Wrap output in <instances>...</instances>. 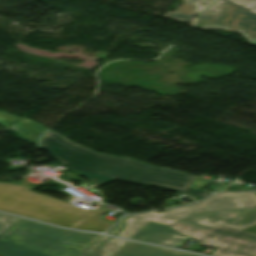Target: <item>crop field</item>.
Masks as SVG:
<instances>
[{"mask_svg":"<svg viewBox=\"0 0 256 256\" xmlns=\"http://www.w3.org/2000/svg\"><path fill=\"white\" fill-rule=\"evenodd\" d=\"M41 147L48 150L57 161H61L62 165L93 181L95 187L118 179L201 197L210 193L188 188L197 176L158 168L132 159L98 154L69 141L52 130L42 136Z\"/></svg>","mask_w":256,"mask_h":256,"instance_id":"crop-field-1","label":"crop field"},{"mask_svg":"<svg viewBox=\"0 0 256 256\" xmlns=\"http://www.w3.org/2000/svg\"><path fill=\"white\" fill-rule=\"evenodd\" d=\"M255 206V192L220 193L201 203L183 208L169 209L160 214L148 212L130 215L127 218L126 227L117 235L131 238L149 220H152L167 224L178 232L192 238ZM124 220L126 219H123L107 233L115 235L123 227Z\"/></svg>","mask_w":256,"mask_h":256,"instance_id":"crop-field-2","label":"crop field"},{"mask_svg":"<svg viewBox=\"0 0 256 256\" xmlns=\"http://www.w3.org/2000/svg\"><path fill=\"white\" fill-rule=\"evenodd\" d=\"M97 239L92 234L0 215V254L4 256H78Z\"/></svg>","mask_w":256,"mask_h":256,"instance_id":"crop-field-3","label":"crop field"},{"mask_svg":"<svg viewBox=\"0 0 256 256\" xmlns=\"http://www.w3.org/2000/svg\"><path fill=\"white\" fill-rule=\"evenodd\" d=\"M0 210L61 226L89 230L105 210L86 211L28 190L18 184H0Z\"/></svg>","mask_w":256,"mask_h":256,"instance_id":"crop-field-4","label":"crop field"},{"mask_svg":"<svg viewBox=\"0 0 256 256\" xmlns=\"http://www.w3.org/2000/svg\"><path fill=\"white\" fill-rule=\"evenodd\" d=\"M196 28L236 31L256 45V0H219L201 14Z\"/></svg>","mask_w":256,"mask_h":256,"instance_id":"crop-field-5","label":"crop field"},{"mask_svg":"<svg viewBox=\"0 0 256 256\" xmlns=\"http://www.w3.org/2000/svg\"><path fill=\"white\" fill-rule=\"evenodd\" d=\"M215 248L212 256H256V234L219 225L194 238Z\"/></svg>","mask_w":256,"mask_h":256,"instance_id":"crop-field-6","label":"crop field"},{"mask_svg":"<svg viewBox=\"0 0 256 256\" xmlns=\"http://www.w3.org/2000/svg\"><path fill=\"white\" fill-rule=\"evenodd\" d=\"M186 3L183 4L177 11L171 13L168 12L165 17L181 20L184 22H192L194 16L206 8V6L215 0H185ZM209 6V5H208Z\"/></svg>","mask_w":256,"mask_h":256,"instance_id":"crop-field-7","label":"crop field"},{"mask_svg":"<svg viewBox=\"0 0 256 256\" xmlns=\"http://www.w3.org/2000/svg\"><path fill=\"white\" fill-rule=\"evenodd\" d=\"M174 229L167 225L149 221L148 224L136 233L132 238L159 244Z\"/></svg>","mask_w":256,"mask_h":256,"instance_id":"crop-field-8","label":"crop field"},{"mask_svg":"<svg viewBox=\"0 0 256 256\" xmlns=\"http://www.w3.org/2000/svg\"><path fill=\"white\" fill-rule=\"evenodd\" d=\"M107 240L103 245H101L96 251H94L89 256H111L117 249H119L126 241L119 240L112 237L101 236L99 239L89 246L83 253L87 254L100 245L102 242ZM91 253V252H90Z\"/></svg>","mask_w":256,"mask_h":256,"instance_id":"crop-field-9","label":"crop field"},{"mask_svg":"<svg viewBox=\"0 0 256 256\" xmlns=\"http://www.w3.org/2000/svg\"><path fill=\"white\" fill-rule=\"evenodd\" d=\"M155 247L138 243H125L112 256H146Z\"/></svg>","mask_w":256,"mask_h":256,"instance_id":"crop-field-10","label":"crop field"},{"mask_svg":"<svg viewBox=\"0 0 256 256\" xmlns=\"http://www.w3.org/2000/svg\"><path fill=\"white\" fill-rule=\"evenodd\" d=\"M256 223V208L222 224L237 229H245Z\"/></svg>","mask_w":256,"mask_h":256,"instance_id":"crop-field-11","label":"crop field"},{"mask_svg":"<svg viewBox=\"0 0 256 256\" xmlns=\"http://www.w3.org/2000/svg\"><path fill=\"white\" fill-rule=\"evenodd\" d=\"M188 239L174 230L160 244L180 248Z\"/></svg>","mask_w":256,"mask_h":256,"instance_id":"crop-field-12","label":"crop field"},{"mask_svg":"<svg viewBox=\"0 0 256 256\" xmlns=\"http://www.w3.org/2000/svg\"><path fill=\"white\" fill-rule=\"evenodd\" d=\"M176 252L156 247L151 253L147 256H173Z\"/></svg>","mask_w":256,"mask_h":256,"instance_id":"crop-field-13","label":"crop field"},{"mask_svg":"<svg viewBox=\"0 0 256 256\" xmlns=\"http://www.w3.org/2000/svg\"><path fill=\"white\" fill-rule=\"evenodd\" d=\"M113 223H109L106 221H102L100 219L92 226L90 230L104 232L108 227H110Z\"/></svg>","mask_w":256,"mask_h":256,"instance_id":"crop-field-14","label":"crop field"},{"mask_svg":"<svg viewBox=\"0 0 256 256\" xmlns=\"http://www.w3.org/2000/svg\"><path fill=\"white\" fill-rule=\"evenodd\" d=\"M174 256H196V255H192V254H188V253L178 251Z\"/></svg>","mask_w":256,"mask_h":256,"instance_id":"crop-field-15","label":"crop field"},{"mask_svg":"<svg viewBox=\"0 0 256 256\" xmlns=\"http://www.w3.org/2000/svg\"><path fill=\"white\" fill-rule=\"evenodd\" d=\"M246 231H250V232L256 233V225H254V226H252V227L246 229Z\"/></svg>","mask_w":256,"mask_h":256,"instance_id":"crop-field-16","label":"crop field"},{"mask_svg":"<svg viewBox=\"0 0 256 256\" xmlns=\"http://www.w3.org/2000/svg\"><path fill=\"white\" fill-rule=\"evenodd\" d=\"M80 256H87V255L81 254Z\"/></svg>","mask_w":256,"mask_h":256,"instance_id":"crop-field-17","label":"crop field"}]
</instances>
